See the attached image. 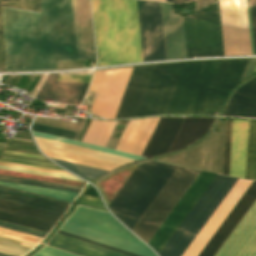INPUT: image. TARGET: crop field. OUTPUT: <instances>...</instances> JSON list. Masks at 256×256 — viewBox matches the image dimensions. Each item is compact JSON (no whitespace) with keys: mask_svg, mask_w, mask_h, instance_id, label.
<instances>
[{"mask_svg":"<svg viewBox=\"0 0 256 256\" xmlns=\"http://www.w3.org/2000/svg\"><path fill=\"white\" fill-rule=\"evenodd\" d=\"M150 120H130L115 150L134 154Z\"/></svg>","mask_w":256,"mask_h":256,"instance_id":"ae1a2a85","label":"crop field"},{"mask_svg":"<svg viewBox=\"0 0 256 256\" xmlns=\"http://www.w3.org/2000/svg\"><path fill=\"white\" fill-rule=\"evenodd\" d=\"M34 123L57 127V128L68 129V130H74V131L77 130V128L80 124V123H70V122L66 123V122H61L58 120H49V119L40 118V117H37Z\"/></svg>","mask_w":256,"mask_h":256,"instance_id":"c035e120","label":"crop field"},{"mask_svg":"<svg viewBox=\"0 0 256 256\" xmlns=\"http://www.w3.org/2000/svg\"><path fill=\"white\" fill-rule=\"evenodd\" d=\"M0 165L11 166V167H18V168H24V169H31V170H38V171H45V172H52V173L65 174V175H71V174H69V173H67V172H63V171H56V170H50V169H43V168L30 167V166L9 164V163H3V162H0ZM72 176H73V175H72Z\"/></svg>","mask_w":256,"mask_h":256,"instance_id":"425ffa30","label":"crop field"},{"mask_svg":"<svg viewBox=\"0 0 256 256\" xmlns=\"http://www.w3.org/2000/svg\"><path fill=\"white\" fill-rule=\"evenodd\" d=\"M47 245L81 256H127L58 233Z\"/></svg>","mask_w":256,"mask_h":256,"instance_id":"730fd06b","label":"crop field"},{"mask_svg":"<svg viewBox=\"0 0 256 256\" xmlns=\"http://www.w3.org/2000/svg\"><path fill=\"white\" fill-rule=\"evenodd\" d=\"M247 10H248V20H249V30H250V40H251V50L252 55L254 54L253 50V40H252V30H251V20H250V10H249V0H247Z\"/></svg>","mask_w":256,"mask_h":256,"instance_id":"1f2cbd36","label":"crop field"},{"mask_svg":"<svg viewBox=\"0 0 256 256\" xmlns=\"http://www.w3.org/2000/svg\"><path fill=\"white\" fill-rule=\"evenodd\" d=\"M237 180L217 175L158 255L181 256Z\"/></svg>","mask_w":256,"mask_h":256,"instance_id":"e52e79f7","label":"crop field"},{"mask_svg":"<svg viewBox=\"0 0 256 256\" xmlns=\"http://www.w3.org/2000/svg\"><path fill=\"white\" fill-rule=\"evenodd\" d=\"M132 68L115 70L98 116L104 118L114 117Z\"/></svg>","mask_w":256,"mask_h":256,"instance_id":"eef30255","label":"crop field"},{"mask_svg":"<svg viewBox=\"0 0 256 256\" xmlns=\"http://www.w3.org/2000/svg\"><path fill=\"white\" fill-rule=\"evenodd\" d=\"M158 118H152L135 154L141 155ZM215 118L161 117L142 157L150 158L185 148L199 140L212 126Z\"/></svg>","mask_w":256,"mask_h":256,"instance_id":"dd49c442","label":"crop field"},{"mask_svg":"<svg viewBox=\"0 0 256 256\" xmlns=\"http://www.w3.org/2000/svg\"><path fill=\"white\" fill-rule=\"evenodd\" d=\"M0 161L9 162V163H16V164H23V165H30V166H36V167H43V168H50V169H56V170H61V169H57V168L44 167V166H38V165H31V164H25V163H18V162L6 161V160H0Z\"/></svg>","mask_w":256,"mask_h":256,"instance_id":"447ae74e","label":"crop field"},{"mask_svg":"<svg viewBox=\"0 0 256 256\" xmlns=\"http://www.w3.org/2000/svg\"><path fill=\"white\" fill-rule=\"evenodd\" d=\"M250 9H251L254 49L256 54V0H250Z\"/></svg>","mask_w":256,"mask_h":256,"instance_id":"b54c1fbb","label":"crop field"},{"mask_svg":"<svg viewBox=\"0 0 256 256\" xmlns=\"http://www.w3.org/2000/svg\"><path fill=\"white\" fill-rule=\"evenodd\" d=\"M0 235L5 236V237H9V238H13V239H16V240L32 243V244H35V245H37L42 240V238H38V237L18 233V232L3 229V228H0Z\"/></svg>","mask_w":256,"mask_h":256,"instance_id":"b80d0937","label":"crop field"},{"mask_svg":"<svg viewBox=\"0 0 256 256\" xmlns=\"http://www.w3.org/2000/svg\"><path fill=\"white\" fill-rule=\"evenodd\" d=\"M53 160L56 161L58 164H60L62 167L73 172L74 174H76L80 177H83V178L91 179V180H94V179L102 176L103 174L107 173V171H103V170H99V169H94V168L81 166V165H77V164H72V163L59 161V160H55V159H53Z\"/></svg>","mask_w":256,"mask_h":256,"instance_id":"5866460e","label":"crop field"},{"mask_svg":"<svg viewBox=\"0 0 256 256\" xmlns=\"http://www.w3.org/2000/svg\"><path fill=\"white\" fill-rule=\"evenodd\" d=\"M59 70L84 67V60L58 63Z\"/></svg>","mask_w":256,"mask_h":256,"instance_id":"25e5ab78","label":"crop field"},{"mask_svg":"<svg viewBox=\"0 0 256 256\" xmlns=\"http://www.w3.org/2000/svg\"><path fill=\"white\" fill-rule=\"evenodd\" d=\"M169 2H175V3H181V2H187V1H193V0H166Z\"/></svg>","mask_w":256,"mask_h":256,"instance_id":"db79e9e6","label":"crop field"},{"mask_svg":"<svg viewBox=\"0 0 256 256\" xmlns=\"http://www.w3.org/2000/svg\"><path fill=\"white\" fill-rule=\"evenodd\" d=\"M254 72H256V64H255V66H254V69H253L252 74H253Z\"/></svg>","mask_w":256,"mask_h":256,"instance_id":"0f1d7ab4","label":"crop field"},{"mask_svg":"<svg viewBox=\"0 0 256 256\" xmlns=\"http://www.w3.org/2000/svg\"><path fill=\"white\" fill-rule=\"evenodd\" d=\"M58 75H48L36 98L59 100L58 103L61 104L79 105L89 84L56 82ZM42 101L45 102V100Z\"/></svg>","mask_w":256,"mask_h":256,"instance_id":"00972430","label":"crop field"},{"mask_svg":"<svg viewBox=\"0 0 256 256\" xmlns=\"http://www.w3.org/2000/svg\"><path fill=\"white\" fill-rule=\"evenodd\" d=\"M251 183L250 180H238L182 256H197L199 254Z\"/></svg>","mask_w":256,"mask_h":256,"instance_id":"733c2abd","label":"crop field"},{"mask_svg":"<svg viewBox=\"0 0 256 256\" xmlns=\"http://www.w3.org/2000/svg\"><path fill=\"white\" fill-rule=\"evenodd\" d=\"M48 157L110 171L134 160L34 137Z\"/></svg>","mask_w":256,"mask_h":256,"instance_id":"22f410ed","label":"crop field"},{"mask_svg":"<svg viewBox=\"0 0 256 256\" xmlns=\"http://www.w3.org/2000/svg\"><path fill=\"white\" fill-rule=\"evenodd\" d=\"M58 70L57 62L78 60L71 0H0V70Z\"/></svg>","mask_w":256,"mask_h":256,"instance_id":"8a807250","label":"crop field"},{"mask_svg":"<svg viewBox=\"0 0 256 256\" xmlns=\"http://www.w3.org/2000/svg\"><path fill=\"white\" fill-rule=\"evenodd\" d=\"M225 121H221L218 133L212 132L199 144L175 154V164L222 174ZM174 164V155L160 158Z\"/></svg>","mask_w":256,"mask_h":256,"instance_id":"28ad6ade","label":"crop field"},{"mask_svg":"<svg viewBox=\"0 0 256 256\" xmlns=\"http://www.w3.org/2000/svg\"><path fill=\"white\" fill-rule=\"evenodd\" d=\"M0 256H13V255H9V254H5V253L0 252Z\"/></svg>","mask_w":256,"mask_h":256,"instance_id":"78b8030e","label":"crop field"},{"mask_svg":"<svg viewBox=\"0 0 256 256\" xmlns=\"http://www.w3.org/2000/svg\"><path fill=\"white\" fill-rule=\"evenodd\" d=\"M4 153L13 154V155H20V156L35 157V158H42L41 156H37V155H31V154H25V153H19V152L7 151V150H5ZM42 159H44V158H42Z\"/></svg>","mask_w":256,"mask_h":256,"instance_id":"0fb4a251","label":"crop field"},{"mask_svg":"<svg viewBox=\"0 0 256 256\" xmlns=\"http://www.w3.org/2000/svg\"><path fill=\"white\" fill-rule=\"evenodd\" d=\"M32 131L49 134V135H54V136H59V137H63V138L71 139V140L73 139V137L76 133L73 131L62 130V129L52 128V127L35 125V124L32 125Z\"/></svg>","mask_w":256,"mask_h":256,"instance_id":"e1f06a70","label":"crop field"},{"mask_svg":"<svg viewBox=\"0 0 256 256\" xmlns=\"http://www.w3.org/2000/svg\"><path fill=\"white\" fill-rule=\"evenodd\" d=\"M89 122H90V120L88 119L87 122H86V124H85V126H84L85 129L87 128ZM85 131H86V130H84V129L82 130V132H81V134H80V136H79V138H78L77 141H79V142L81 141V139H82V137H83Z\"/></svg>","mask_w":256,"mask_h":256,"instance_id":"0765c3eb","label":"crop field"},{"mask_svg":"<svg viewBox=\"0 0 256 256\" xmlns=\"http://www.w3.org/2000/svg\"><path fill=\"white\" fill-rule=\"evenodd\" d=\"M117 121H98L88 144L105 147Z\"/></svg>","mask_w":256,"mask_h":256,"instance_id":"bd1437ed","label":"crop field"},{"mask_svg":"<svg viewBox=\"0 0 256 256\" xmlns=\"http://www.w3.org/2000/svg\"><path fill=\"white\" fill-rule=\"evenodd\" d=\"M255 61H256V60H250V61H249L248 66H247V68H246V71H245V73H244V75H243V78H245V77H247V76L250 75V73H251V71H252V68H253V66H254ZM243 78H242V79H243Z\"/></svg>","mask_w":256,"mask_h":256,"instance_id":"dbb93151","label":"crop field"},{"mask_svg":"<svg viewBox=\"0 0 256 256\" xmlns=\"http://www.w3.org/2000/svg\"><path fill=\"white\" fill-rule=\"evenodd\" d=\"M41 75L40 76H37V78L35 79V81L33 82L32 86L30 87V89L28 90V95L30 94V92L33 90V88L35 87L36 83L38 82V80L40 79ZM30 78V76H24L21 80V82L19 83L18 87L19 88H22L25 86L26 82L28 81V79ZM14 79V77L12 78H8L4 84H7V85H10V83L12 82V80ZM17 79V77H15V79L13 80V82L11 83V86L12 84L14 83V81Z\"/></svg>","mask_w":256,"mask_h":256,"instance_id":"5d738f31","label":"crop field"},{"mask_svg":"<svg viewBox=\"0 0 256 256\" xmlns=\"http://www.w3.org/2000/svg\"><path fill=\"white\" fill-rule=\"evenodd\" d=\"M0 238L11 240V241H15V242H19V241L8 239V238H4V237H1V236H0ZM3 239H0V251H4V252L20 255V254H23L26 250H28L29 247H31V245L23 244L21 242H19V243H21V245H25V246H29V247L21 246V245H19V243H15V242L3 240ZM34 247H35V245H33L23 255L27 254ZM23 255H20V256H23Z\"/></svg>","mask_w":256,"mask_h":256,"instance_id":"028f5c9d","label":"crop field"},{"mask_svg":"<svg viewBox=\"0 0 256 256\" xmlns=\"http://www.w3.org/2000/svg\"><path fill=\"white\" fill-rule=\"evenodd\" d=\"M222 116L256 117V79L234 94Z\"/></svg>","mask_w":256,"mask_h":256,"instance_id":"4177f3b9","label":"crop field"},{"mask_svg":"<svg viewBox=\"0 0 256 256\" xmlns=\"http://www.w3.org/2000/svg\"><path fill=\"white\" fill-rule=\"evenodd\" d=\"M215 256H256V202Z\"/></svg>","mask_w":256,"mask_h":256,"instance_id":"d9b57169","label":"crop field"},{"mask_svg":"<svg viewBox=\"0 0 256 256\" xmlns=\"http://www.w3.org/2000/svg\"><path fill=\"white\" fill-rule=\"evenodd\" d=\"M245 178L256 180V120H249Z\"/></svg>","mask_w":256,"mask_h":256,"instance_id":"750c4746","label":"crop field"},{"mask_svg":"<svg viewBox=\"0 0 256 256\" xmlns=\"http://www.w3.org/2000/svg\"><path fill=\"white\" fill-rule=\"evenodd\" d=\"M61 215L0 200V220L49 232Z\"/></svg>","mask_w":256,"mask_h":256,"instance_id":"4a817a6b","label":"crop field"},{"mask_svg":"<svg viewBox=\"0 0 256 256\" xmlns=\"http://www.w3.org/2000/svg\"><path fill=\"white\" fill-rule=\"evenodd\" d=\"M80 202L81 203H86V204H91V205H96V206H101L102 207L99 199L93 198V197H89V196H85V195L82 197Z\"/></svg>","mask_w":256,"mask_h":256,"instance_id":"89e229c0","label":"crop field"},{"mask_svg":"<svg viewBox=\"0 0 256 256\" xmlns=\"http://www.w3.org/2000/svg\"><path fill=\"white\" fill-rule=\"evenodd\" d=\"M199 173L178 167L131 231L147 243Z\"/></svg>","mask_w":256,"mask_h":256,"instance_id":"5a996713","label":"crop field"},{"mask_svg":"<svg viewBox=\"0 0 256 256\" xmlns=\"http://www.w3.org/2000/svg\"><path fill=\"white\" fill-rule=\"evenodd\" d=\"M3 158H5V157H3ZM5 159H11V160H17V161H23V162H29V163H35V164H41V165H47V166H53V167H55L53 164H49V163L34 162V161H27V160H20V159H12V158H5Z\"/></svg>","mask_w":256,"mask_h":256,"instance_id":"1d79db26","label":"crop field"},{"mask_svg":"<svg viewBox=\"0 0 256 256\" xmlns=\"http://www.w3.org/2000/svg\"><path fill=\"white\" fill-rule=\"evenodd\" d=\"M96 67L142 62L136 0H92Z\"/></svg>","mask_w":256,"mask_h":256,"instance_id":"34b2d1b8","label":"crop field"},{"mask_svg":"<svg viewBox=\"0 0 256 256\" xmlns=\"http://www.w3.org/2000/svg\"><path fill=\"white\" fill-rule=\"evenodd\" d=\"M225 55H251L246 0H219Z\"/></svg>","mask_w":256,"mask_h":256,"instance_id":"3316defc","label":"crop field"},{"mask_svg":"<svg viewBox=\"0 0 256 256\" xmlns=\"http://www.w3.org/2000/svg\"><path fill=\"white\" fill-rule=\"evenodd\" d=\"M15 137L32 140L31 138L23 137L22 134H18V133H16ZM5 149L41 155L37 151L34 143H30V142H23V141H17V140L9 141L8 140ZM2 156L20 158V159H27V160H35V161H42V162H49L48 159H46L45 157L44 158L46 160L28 158V157H20V156H13V155H6V154H3ZM49 163H51V162H49Z\"/></svg>","mask_w":256,"mask_h":256,"instance_id":"1d83c4d3","label":"crop field"},{"mask_svg":"<svg viewBox=\"0 0 256 256\" xmlns=\"http://www.w3.org/2000/svg\"><path fill=\"white\" fill-rule=\"evenodd\" d=\"M34 256H74L48 247H44Z\"/></svg>","mask_w":256,"mask_h":256,"instance_id":"d23c7cc5","label":"crop field"},{"mask_svg":"<svg viewBox=\"0 0 256 256\" xmlns=\"http://www.w3.org/2000/svg\"><path fill=\"white\" fill-rule=\"evenodd\" d=\"M154 66L133 68L114 118L136 116Z\"/></svg>","mask_w":256,"mask_h":256,"instance_id":"214f88e0","label":"crop field"},{"mask_svg":"<svg viewBox=\"0 0 256 256\" xmlns=\"http://www.w3.org/2000/svg\"><path fill=\"white\" fill-rule=\"evenodd\" d=\"M183 21L188 58L224 55L218 0H198Z\"/></svg>","mask_w":256,"mask_h":256,"instance_id":"d8731c3e","label":"crop field"},{"mask_svg":"<svg viewBox=\"0 0 256 256\" xmlns=\"http://www.w3.org/2000/svg\"><path fill=\"white\" fill-rule=\"evenodd\" d=\"M0 142L5 143L6 140L0 139ZM3 148H4V146L0 145V155L2 153Z\"/></svg>","mask_w":256,"mask_h":256,"instance_id":"7b73153f","label":"crop field"},{"mask_svg":"<svg viewBox=\"0 0 256 256\" xmlns=\"http://www.w3.org/2000/svg\"><path fill=\"white\" fill-rule=\"evenodd\" d=\"M248 61L185 63L166 114L220 112L229 92L240 82Z\"/></svg>","mask_w":256,"mask_h":256,"instance_id":"ac0d7876","label":"crop field"},{"mask_svg":"<svg viewBox=\"0 0 256 256\" xmlns=\"http://www.w3.org/2000/svg\"><path fill=\"white\" fill-rule=\"evenodd\" d=\"M143 61L165 60L159 5L137 1Z\"/></svg>","mask_w":256,"mask_h":256,"instance_id":"5142ce71","label":"crop field"},{"mask_svg":"<svg viewBox=\"0 0 256 256\" xmlns=\"http://www.w3.org/2000/svg\"><path fill=\"white\" fill-rule=\"evenodd\" d=\"M176 168L155 161L139 165L109 209L131 230Z\"/></svg>","mask_w":256,"mask_h":256,"instance_id":"412701ff","label":"crop field"},{"mask_svg":"<svg viewBox=\"0 0 256 256\" xmlns=\"http://www.w3.org/2000/svg\"><path fill=\"white\" fill-rule=\"evenodd\" d=\"M248 120H233L229 176L244 178Z\"/></svg>","mask_w":256,"mask_h":256,"instance_id":"a9b5d70f","label":"crop field"},{"mask_svg":"<svg viewBox=\"0 0 256 256\" xmlns=\"http://www.w3.org/2000/svg\"><path fill=\"white\" fill-rule=\"evenodd\" d=\"M0 181L40 186V187L53 188V189H60V190H66V191H73V192H78V193H80L82 190V188H80V187L54 184V183H48V182H41V181H34V180L21 179V178H15V177H8V176H2V175H0Z\"/></svg>","mask_w":256,"mask_h":256,"instance_id":"120bbe31","label":"crop field"},{"mask_svg":"<svg viewBox=\"0 0 256 256\" xmlns=\"http://www.w3.org/2000/svg\"><path fill=\"white\" fill-rule=\"evenodd\" d=\"M199 175V174H198ZM215 174H209L201 172L153 238L150 240V245L158 254L212 180L215 178Z\"/></svg>","mask_w":256,"mask_h":256,"instance_id":"cbeb9de0","label":"crop field"},{"mask_svg":"<svg viewBox=\"0 0 256 256\" xmlns=\"http://www.w3.org/2000/svg\"><path fill=\"white\" fill-rule=\"evenodd\" d=\"M160 7L166 60L187 58L182 17L173 14L172 4Z\"/></svg>","mask_w":256,"mask_h":256,"instance_id":"92a150f3","label":"crop field"},{"mask_svg":"<svg viewBox=\"0 0 256 256\" xmlns=\"http://www.w3.org/2000/svg\"><path fill=\"white\" fill-rule=\"evenodd\" d=\"M86 120H87V119H82L81 124H80V126H79V128H78V130H77V133H76V135H75V137H74L73 140H75V141L77 140V138H78V136H79V134H80V132H81V130H82V128H83L85 122H86Z\"/></svg>","mask_w":256,"mask_h":256,"instance_id":"9d1cf04e","label":"crop field"},{"mask_svg":"<svg viewBox=\"0 0 256 256\" xmlns=\"http://www.w3.org/2000/svg\"><path fill=\"white\" fill-rule=\"evenodd\" d=\"M0 185L13 187L21 190H26L34 193L44 194L68 201H73V199L78 195L76 193H70V192H63V191H56V190H50V189H43V188H36V187H30V186H23V185H16V184H10V183H3L0 182Z\"/></svg>","mask_w":256,"mask_h":256,"instance_id":"d32e631a","label":"crop field"},{"mask_svg":"<svg viewBox=\"0 0 256 256\" xmlns=\"http://www.w3.org/2000/svg\"><path fill=\"white\" fill-rule=\"evenodd\" d=\"M232 120L226 119L223 174L228 176Z\"/></svg>","mask_w":256,"mask_h":256,"instance_id":"0bd39190","label":"crop field"},{"mask_svg":"<svg viewBox=\"0 0 256 256\" xmlns=\"http://www.w3.org/2000/svg\"><path fill=\"white\" fill-rule=\"evenodd\" d=\"M0 191L11 193V194H23V195H31V196H40V195H34V194H30V193H25V192H21V191H16V190L4 188V187H1V186H0ZM40 197L71 204L70 202H67V201H63V200H59V199H54V198H50V197H46V196H40Z\"/></svg>","mask_w":256,"mask_h":256,"instance_id":"73cf0c24","label":"crop field"},{"mask_svg":"<svg viewBox=\"0 0 256 256\" xmlns=\"http://www.w3.org/2000/svg\"><path fill=\"white\" fill-rule=\"evenodd\" d=\"M183 64L155 66L136 117L166 113Z\"/></svg>","mask_w":256,"mask_h":256,"instance_id":"d1516ede","label":"crop field"},{"mask_svg":"<svg viewBox=\"0 0 256 256\" xmlns=\"http://www.w3.org/2000/svg\"><path fill=\"white\" fill-rule=\"evenodd\" d=\"M0 199L11 201L14 203L38 208L41 210L57 213L63 215L68 208V205L44 200V199H31L23 196H16L0 192Z\"/></svg>","mask_w":256,"mask_h":256,"instance_id":"d3111659","label":"crop field"},{"mask_svg":"<svg viewBox=\"0 0 256 256\" xmlns=\"http://www.w3.org/2000/svg\"><path fill=\"white\" fill-rule=\"evenodd\" d=\"M60 231L133 252L142 256H156L142 243L132 238L127 230L120 226L109 214L104 212L78 206ZM60 231H58V233L120 253L130 256H139Z\"/></svg>","mask_w":256,"mask_h":256,"instance_id":"f4fd0767","label":"crop field"},{"mask_svg":"<svg viewBox=\"0 0 256 256\" xmlns=\"http://www.w3.org/2000/svg\"><path fill=\"white\" fill-rule=\"evenodd\" d=\"M255 200L256 181H253L198 256H214Z\"/></svg>","mask_w":256,"mask_h":256,"instance_id":"bc2a9ffb","label":"crop field"},{"mask_svg":"<svg viewBox=\"0 0 256 256\" xmlns=\"http://www.w3.org/2000/svg\"><path fill=\"white\" fill-rule=\"evenodd\" d=\"M91 75L60 76L58 81L89 83Z\"/></svg>","mask_w":256,"mask_h":256,"instance_id":"03da06ac","label":"crop field"},{"mask_svg":"<svg viewBox=\"0 0 256 256\" xmlns=\"http://www.w3.org/2000/svg\"><path fill=\"white\" fill-rule=\"evenodd\" d=\"M73 7L79 60L96 61L90 0H73Z\"/></svg>","mask_w":256,"mask_h":256,"instance_id":"dafd665d","label":"crop field"},{"mask_svg":"<svg viewBox=\"0 0 256 256\" xmlns=\"http://www.w3.org/2000/svg\"><path fill=\"white\" fill-rule=\"evenodd\" d=\"M0 227L44 238L47 232L0 221Z\"/></svg>","mask_w":256,"mask_h":256,"instance_id":"c21b1889","label":"crop field"}]
</instances>
